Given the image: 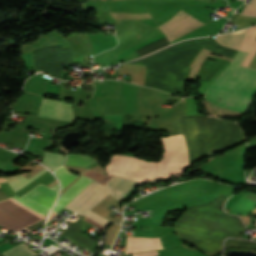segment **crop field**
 Returning <instances> with one entry per match:
<instances>
[{"label":"crop field","instance_id":"obj_1","mask_svg":"<svg viewBox=\"0 0 256 256\" xmlns=\"http://www.w3.org/2000/svg\"><path fill=\"white\" fill-rule=\"evenodd\" d=\"M83 175H88L101 184L107 180V176L91 170L85 172ZM108 177L109 179L105 181L103 186L91 178L81 176L79 180L73 183L71 187L60 196V199L56 203L49 219L60 211L68 202H70L92 180L93 181L69 204H67L65 208L86 216L88 211L107 195L111 194L119 201L137 183V181L114 175H108ZM83 218L84 216H81L68 230L63 233V235L73 239V243L93 251L97 241L78 232L87 224V222L82 220ZM84 220L102 230L108 223V219L91 210Z\"/></svg>","mask_w":256,"mask_h":256},{"label":"crop field","instance_id":"obj_2","mask_svg":"<svg viewBox=\"0 0 256 256\" xmlns=\"http://www.w3.org/2000/svg\"><path fill=\"white\" fill-rule=\"evenodd\" d=\"M226 199L225 196L217 197L206 205L187 209L175 223L181 239L211 255L221 251L223 238H240L247 228L239 218L223 211Z\"/></svg>","mask_w":256,"mask_h":256},{"label":"crop field","instance_id":"obj_3","mask_svg":"<svg viewBox=\"0 0 256 256\" xmlns=\"http://www.w3.org/2000/svg\"><path fill=\"white\" fill-rule=\"evenodd\" d=\"M203 47L231 58L237 52L207 37L180 42L127 64L146 66V86L176 92L181 89L188 67Z\"/></svg>","mask_w":256,"mask_h":256},{"label":"crop field","instance_id":"obj_4","mask_svg":"<svg viewBox=\"0 0 256 256\" xmlns=\"http://www.w3.org/2000/svg\"><path fill=\"white\" fill-rule=\"evenodd\" d=\"M189 152L190 166L209 153L228 149L245 140L240 127L232 122L202 116H180Z\"/></svg>","mask_w":256,"mask_h":256},{"label":"crop field","instance_id":"obj_5","mask_svg":"<svg viewBox=\"0 0 256 256\" xmlns=\"http://www.w3.org/2000/svg\"><path fill=\"white\" fill-rule=\"evenodd\" d=\"M247 55L239 51L232 63L210 86L204 99L220 107L245 112L256 87V69L239 66Z\"/></svg>","mask_w":256,"mask_h":256},{"label":"crop field","instance_id":"obj_6","mask_svg":"<svg viewBox=\"0 0 256 256\" xmlns=\"http://www.w3.org/2000/svg\"><path fill=\"white\" fill-rule=\"evenodd\" d=\"M58 191V183L51 188L40 183L22 196L15 195L13 198L25 206L47 216L56 200ZM13 198L10 197L0 202V225L4 228L18 232L46 218L21 205Z\"/></svg>","mask_w":256,"mask_h":256},{"label":"crop field","instance_id":"obj_7","mask_svg":"<svg viewBox=\"0 0 256 256\" xmlns=\"http://www.w3.org/2000/svg\"><path fill=\"white\" fill-rule=\"evenodd\" d=\"M35 70L62 79L61 64H71L73 54L70 49H62L60 46L48 47L33 52Z\"/></svg>","mask_w":256,"mask_h":256},{"label":"crop field","instance_id":"obj_8","mask_svg":"<svg viewBox=\"0 0 256 256\" xmlns=\"http://www.w3.org/2000/svg\"><path fill=\"white\" fill-rule=\"evenodd\" d=\"M252 27L238 31L229 33L226 35H220L216 37V41H218L221 45L231 47L237 50H240L244 41L246 40L248 34L250 33ZM256 37V27H254L253 31L249 35L248 39L244 43L241 48L242 51L249 52L244 61L242 62V66L248 67L255 51H256V41L254 40Z\"/></svg>","mask_w":256,"mask_h":256},{"label":"crop field","instance_id":"obj_9","mask_svg":"<svg viewBox=\"0 0 256 256\" xmlns=\"http://www.w3.org/2000/svg\"><path fill=\"white\" fill-rule=\"evenodd\" d=\"M202 25L204 24H202L200 21H198L194 17L180 10L166 23L158 26V28L163 31L165 36L171 42L174 39L182 36L183 34L197 27H200Z\"/></svg>","mask_w":256,"mask_h":256},{"label":"crop field","instance_id":"obj_10","mask_svg":"<svg viewBox=\"0 0 256 256\" xmlns=\"http://www.w3.org/2000/svg\"><path fill=\"white\" fill-rule=\"evenodd\" d=\"M38 116L73 121L71 103L43 98Z\"/></svg>","mask_w":256,"mask_h":256},{"label":"crop field","instance_id":"obj_11","mask_svg":"<svg viewBox=\"0 0 256 256\" xmlns=\"http://www.w3.org/2000/svg\"><path fill=\"white\" fill-rule=\"evenodd\" d=\"M47 169H42L38 173H36L34 176H32L30 179H25L21 174L6 177L7 183L9 186L16 192L22 187H24L26 184L37 178L39 175L44 173Z\"/></svg>","mask_w":256,"mask_h":256},{"label":"crop field","instance_id":"obj_12","mask_svg":"<svg viewBox=\"0 0 256 256\" xmlns=\"http://www.w3.org/2000/svg\"><path fill=\"white\" fill-rule=\"evenodd\" d=\"M63 160V154L44 151L42 164L53 171L57 166L63 164Z\"/></svg>","mask_w":256,"mask_h":256},{"label":"crop field","instance_id":"obj_13","mask_svg":"<svg viewBox=\"0 0 256 256\" xmlns=\"http://www.w3.org/2000/svg\"><path fill=\"white\" fill-rule=\"evenodd\" d=\"M94 161H96V160L92 159L91 157H89L87 155L68 154L67 155V161H66L65 164L85 167V166L91 164Z\"/></svg>","mask_w":256,"mask_h":256},{"label":"crop field","instance_id":"obj_14","mask_svg":"<svg viewBox=\"0 0 256 256\" xmlns=\"http://www.w3.org/2000/svg\"><path fill=\"white\" fill-rule=\"evenodd\" d=\"M54 174L57 176V178L60 181L62 189L66 187L72 180H74L77 176L71 174L67 168L64 166L56 169L54 171Z\"/></svg>","mask_w":256,"mask_h":256},{"label":"crop field","instance_id":"obj_15","mask_svg":"<svg viewBox=\"0 0 256 256\" xmlns=\"http://www.w3.org/2000/svg\"><path fill=\"white\" fill-rule=\"evenodd\" d=\"M5 256H33L35 253L28 250L24 244V242L14 248H11L5 252H3Z\"/></svg>","mask_w":256,"mask_h":256},{"label":"crop field","instance_id":"obj_16","mask_svg":"<svg viewBox=\"0 0 256 256\" xmlns=\"http://www.w3.org/2000/svg\"><path fill=\"white\" fill-rule=\"evenodd\" d=\"M227 246L256 248V243L235 240V239H227L225 242V247Z\"/></svg>","mask_w":256,"mask_h":256},{"label":"crop field","instance_id":"obj_17","mask_svg":"<svg viewBox=\"0 0 256 256\" xmlns=\"http://www.w3.org/2000/svg\"><path fill=\"white\" fill-rule=\"evenodd\" d=\"M242 14L255 15L256 16V0H253L250 5H247Z\"/></svg>","mask_w":256,"mask_h":256},{"label":"crop field","instance_id":"obj_18","mask_svg":"<svg viewBox=\"0 0 256 256\" xmlns=\"http://www.w3.org/2000/svg\"><path fill=\"white\" fill-rule=\"evenodd\" d=\"M9 198L5 192L0 188V201Z\"/></svg>","mask_w":256,"mask_h":256},{"label":"crop field","instance_id":"obj_19","mask_svg":"<svg viewBox=\"0 0 256 256\" xmlns=\"http://www.w3.org/2000/svg\"><path fill=\"white\" fill-rule=\"evenodd\" d=\"M1 182H5L4 177H0V183H1Z\"/></svg>","mask_w":256,"mask_h":256}]
</instances>
